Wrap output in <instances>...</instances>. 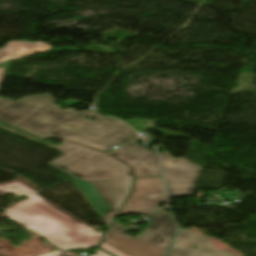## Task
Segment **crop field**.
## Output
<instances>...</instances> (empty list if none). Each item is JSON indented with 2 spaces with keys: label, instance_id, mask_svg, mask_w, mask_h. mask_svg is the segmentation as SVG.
Masks as SVG:
<instances>
[{
  "label": "crop field",
  "instance_id": "crop-field-1",
  "mask_svg": "<svg viewBox=\"0 0 256 256\" xmlns=\"http://www.w3.org/2000/svg\"><path fill=\"white\" fill-rule=\"evenodd\" d=\"M50 94L28 96L15 102L0 97V119L44 137L57 136L102 151L133 139L125 123L94 111L61 110ZM96 116L95 121L84 119Z\"/></svg>",
  "mask_w": 256,
  "mask_h": 256
},
{
  "label": "crop field",
  "instance_id": "crop-field-2",
  "mask_svg": "<svg viewBox=\"0 0 256 256\" xmlns=\"http://www.w3.org/2000/svg\"><path fill=\"white\" fill-rule=\"evenodd\" d=\"M0 130L61 151L63 156L47 164L70 176L90 206L109 226L128 197L132 186L131 168L96 150L66 142L59 146L0 121Z\"/></svg>",
  "mask_w": 256,
  "mask_h": 256
},
{
  "label": "crop field",
  "instance_id": "crop-field-3",
  "mask_svg": "<svg viewBox=\"0 0 256 256\" xmlns=\"http://www.w3.org/2000/svg\"><path fill=\"white\" fill-rule=\"evenodd\" d=\"M10 192L30 197L4 211L10 220L38 233L62 250L87 249L99 244L102 234L37 196L38 193L20 178L0 185V196Z\"/></svg>",
  "mask_w": 256,
  "mask_h": 256
},
{
  "label": "crop field",
  "instance_id": "crop-field-4",
  "mask_svg": "<svg viewBox=\"0 0 256 256\" xmlns=\"http://www.w3.org/2000/svg\"><path fill=\"white\" fill-rule=\"evenodd\" d=\"M151 215L155 218L139 236L131 239L123 235L127 230L113 222L103 241L131 256H165L175 232V224L160 210Z\"/></svg>",
  "mask_w": 256,
  "mask_h": 256
},
{
  "label": "crop field",
  "instance_id": "crop-field-5",
  "mask_svg": "<svg viewBox=\"0 0 256 256\" xmlns=\"http://www.w3.org/2000/svg\"><path fill=\"white\" fill-rule=\"evenodd\" d=\"M165 168V181L171 197L191 195L202 166L184 158L174 159L168 152L160 154Z\"/></svg>",
  "mask_w": 256,
  "mask_h": 256
},
{
  "label": "crop field",
  "instance_id": "crop-field-6",
  "mask_svg": "<svg viewBox=\"0 0 256 256\" xmlns=\"http://www.w3.org/2000/svg\"><path fill=\"white\" fill-rule=\"evenodd\" d=\"M134 191L118 216L137 212L150 213L157 204L167 200L161 177L135 178Z\"/></svg>",
  "mask_w": 256,
  "mask_h": 256
},
{
  "label": "crop field",
  "instance_id": "crop-field-7",
  "mask_svg": "<svg viewBox=\"0 0 256 256\" xmlns=\"http://www.w3.org/2000/svg\"><path fill=\"white\" fill-rule=\"evenodd\" d=\"M108 154L129 164L135 171V177L162 176L156 153L143 148L135 141Z\"/></svg>",
  "mask_w": 256,
  "mask_h": 256
},
{
  "label": "crop field",
  "instance_id": "crop-field-8",
  "mask_svg": "<svg viewBox=\"0 0 256 256\" xmlns=\"http://www.w3.org/2000/svg\"><path fill=\"white\" fill-rule=\"evenodd\" d=\"M196 243L199 249L185 246L186 242ZM169 256H239L224 250H217L210 238L198 235L183 228L178 229Z\"/></svg>",
  "mask_w": 256,
  "mask_h": 256
},
{
  "label": "crop field",
  "instance_id": "crop-field-9",
  "mask_svg": "<svg viewBox=\"0 0 256 256\" xmlns=\"http://www.w3.org/2000/svg\"><path fill=\"white\" fill-rule=\"evenodd\" d=\"M49 49H52V46L41 42L11 41L8 42L6 48L0 49V64L10 60L42 53Z\"/></svg>",
  "mask_w": 256,
  "mask_h": 256
},
{
  "label": "crop field",
  "instance_id": "crop-field-10",
  "mask_svg": "<svg viewBox=\"0 0 256 256\" xmlns=\"http://www.w3.org/2000/svg\"><path fill=\"white\" fill-rule=\"evenodd\" d=\"M144 122H149V125H145ZM127 123L129 125H131L133 128H137L139 130V132H145L149 129H151L150 125L153 124V120L150 121H140L139 119L135 118V119H131L129 121H127Z\"/></svg>",
  "mask_w": 256,
  "mask_h": 256
},
{
  "label": "crop field",
  "instance_id": "crop-field-11",
  "mask_svg": "<svg viewBox=\"0 0 256 256\" xmlns=\"http://www.w3.org/2000/svg\"><path fill=\"white\" fill-rule=\"evenodd\" d=\"M100 247L109 251L110 253H112L116 256H130V255L124 253L123 251H121V250H119V249H117V248H115V247H113V246H111V245H109V244H107L103 241H102Z\"/></svg>",
  "mask_w": 256,
  "mask_h": 256
},
{
  "label": "crop field",
  "instance_id": "crop-field-12",
  "mask_svg": "<svg viewBox=\"0 0 256 256\" xmlns=\"http://www.w3.org/2000/svg\"><path fill=\"white\" fill-rule=\"evenodd\" d=\"M40 256H70V255L61 251V250H59V251L43 254V255H40Z\"/></svg>",
  "mask_w": 256,
  "mask_h": 256
},
{
  "label": "crop field",
  "instance_id": "crop-field-13",
  "mask_svg": "<svg viewBox=\"0 0 256 256\" xmlns=\"http://www.w3.org/2000/svg\"><path fill=\"white\" fill-rule=\"evenodd\" d=\"M96 253H97L96 256H110L109 254L105 253L104 251H102L100 249Z\"/></svg>",
  "mask_w": 256,
  "mask_h": 256
},
{
  "label": "crop field",
  "instance_id": "crop-field-14",
  "mask_svg": "<svg viewBox=\"0 0 256 256\" xmlns=\"http://www.w3.org/2000/svg\"><path fill=\"white\" fill-rule=\"evenodd\" d=\"M5 71L6 70H4V69H0V82H1V80L3 78V75H4Z\"/></svg>",
  "mask_w": 256,
  "mask_h": 256
},
{
  "label": "crop field",
  "instance_id": "crop-field-15",
  "mask_svg": "<svg viewBox=\"0 0 256 256\" xmlns=\"http://www.w3.org/2000/svg\"><path fill=\"white\" fill-rule=\"evenodd\" d=\"M9 63H10V62H7V63L1 65L0 67H2V68H7V66H8Z\"/></svg>",
  "mask_w": 256,
  "mask_h": 256
}]
</instances>
